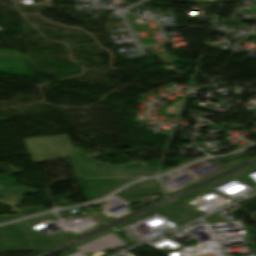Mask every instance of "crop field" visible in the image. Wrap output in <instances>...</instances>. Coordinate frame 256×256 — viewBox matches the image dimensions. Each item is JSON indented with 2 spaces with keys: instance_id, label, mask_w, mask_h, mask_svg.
<instances>
[{
  "instance_id": "obj_1",
  "label": "crop field",
  "mask_w": 256,
  "mask_h": 256,
  "mask_svg": "<svg viewBox=\"0 0 256 256\" xmlns=\"http://www.w3.org/2000/svg\"><path fill=\"white\" fill-rule=\"evenodd\" d=\"M24 141L35 164L68 156L73 162L71 152L62 135L30 138L24 139ZM74 168L78 177H81L76 165Z\"/></svg>"
},
{
  "instance_id": "obj_2",
  "label": "crop field",
  "mask_w": 256,
  "mask_h": 256,
  "mask_svg": "<svg viewBox=\"0 0 256 256\" xmlns=\"http://www.w3.org/2000/svg\"><path fill=\"white\" fill-rule=\"evenodd\" d=\"M129 213L130 212L128 210V207L125 206L92 213H86L84 214L85 217L67 219L64 221L66 223L67 228L71 230V236L76 237L80 234L88 232L92 229H95L105 223H108ZM77 219H79L81 222H77Z\"/></svg>"
},
{
  "instance_id": "obj_3",
  "label": "crop field",
  "mask_w": 256,
  "mask_h": 256,
  "mask_svg": "<svg viewBox=\"0 0 256 256\" xmlns=\"http://www.w3.org/2000/svg\"><path fill=\"white\" fill-rule=\"evenodd\" d=\"M5 177L0 176V204L12 207L11 212L19 213L20 209L14 208L15 206L21 207L25 193L33 195L38 190L18 186L8 182L2 181ZM4 200L6 202H3Z\"/></svg>"
},
{
  "instance_id": "obj_4",
  "label": "crop field",
  "mask_w": 256,
  "mask_h": 256,
  "mask_svg": "<svg viewBox=\"0 0 256 256\" xmlns=\"http://www.w3.org/2000/svg\"><path fill=\"white\" fill-rule=\"evenodd\" d=\"M0 73L34 77L27 60L0 59Z\"/></svg>"
},
{
  "instance_id": "obj_5",
  "label": "crop field",
  "mask_w": 256,
  "mask_h": 256,
  "mask_svg": "<svg viewBox=\"0 0 256 256\" xmlns=\"http://www.w3.org/2000/svg\"><path fill=\"white\" fill-rule=\"evenodd\" d=\"M75 159L78 160L81 168L83 177H101L95 162L85 163L80 150H73L67 135H64Z\"/></svg>"
},
{
  "instance_id": "obj_6",
  "label": "crop field",
  "mask_w": 256,
  "mask_h": 256,
  "mask_svg": "<svg viewBox=\"0 0 256 256\" xmlns=\"http://www.w3.org/2000/svg\"><path fill=\"white\" fill-rule=\"evenodd\" d=\"M41 211H43L42 207L22 208L20 214H17V215H2V216H0V220H10V219L30 215V214H33V213L41 212Z\"/></svg>"
},
{
  "instance_id": "obj_7",
  "label": "crop field",
  "mask_w": 256,
  "mask_h": 256,
  "mask_svg": "<svg viewBox=\"0 0 256 256\" xmlns=\"http://www.w3.org/2000/svg\"><path fill=\"white\" fill-rule=\"evenodd\" d=\"M0 57L3 58H19V59H27V57L17 51L0 49Z\"/></svg>"
},
{
  "instance_id": "obj_8",
  "label": "crop field",
  "mask_w": 256,
  "mask_h": 256,
  "mask_svg": "<svg viewBox=\"0 0 256 256\" xmlns=\"http://www.w3.org/2000/svg\"><path fill=\"white\" fill-rule=\"evenodd\" d=\"M104 177L116 176L110 163L99 164Z\"/></svg>"
}]
</instances>
